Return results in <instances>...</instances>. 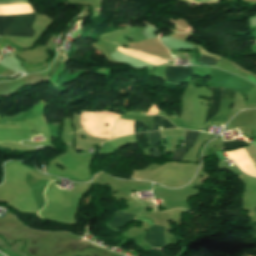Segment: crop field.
Here are the masks:
<instances>
[{
  "mask_svg": "<svg viewBox=\"0 0 256 256\" xmlns=\"http://www.w3.org/2000/svg\"><path fill=\"white\" fill-rule=\"evenodd\" d=\"M199 132H189L186 131L185 133V138H184V142L190 143V145L186 148L180 147L178 150H175L173 156H172V160H177L180 161L182 159V157L184 156L185 152L187 150H189L191 148V146L193 145L197 135Z\"/></svg>",
  "mask_w": 256,
  "mask_h": 256,
  "instance_id": "crop-field-7",
  "label": "crop field"
},
{
  "mask_svg": "<svg viewBox=\"0 0 256 256\" xmlns=\"http://www.w3.org/2000/svg\"><path fill=\"white\" fill-rule=\"evenodd\" d=\"M162 126L164 129L166 128H175L168 120L165 119V121L162 123Z\"/></svg>",
  "mask_w": 256,
  "mask_h": 256,
  "instance_id": "crop-field-15",
  "label": "crop field"
},
{
  "mask_svg": "<svg viewBox=\"0 0 256 256\" xmlns=\"http://www.w3.org/2000/svg\"><path fill=\"white\" fill-rule=\"evenodd\" d=\"M134 130H135V133L151 131V129L146 127L145 124L138 121L135 122Z\"/></svg>",
  "mask_w": 256,
  "mask_h": 256,
  "instance_id": "crop-field-12",
  "label": "crop field"
},
{
  "mask_svg": "<svg viewBox=\"0 0 256 256\" xmlns=\"http://www.w3.org/2000/svg\"><path fill=\"white\" fill-rule=\"evenodd\" d=\"M247 233L253 235L254 237H256V222L251 223L248 227ZM252 236V237H253Z\"/></svg>",
  "mask_w": 256,
  "mask_h": 256,
  "instance_id": "crop-field-14",
  "label": "crop field"
},
{
  "mask_svg": "<svg viewBox=\"0 0 256 256\" xmlns=\"http://www.w3.org/2000/svg\"><path fill=\"white\" fill-rule=\"evenodd\" d=\"M252 211L256 212V207Z\"/></svg>",
  "mask_w": 256,
  "mask_h": 256,
  "instance_id": "crop-field-17",
  "label": "crop field"
},
{
  "mask_svg": "<svg viewBox=\"0 0 256 256\" xmlns=\"http://www.w3.org/2000/svg\"><path fill=\"white\" fill-rule=\"evenodd\" d=\"M236 91L224 88L221 107L216 115L210 118L209 121L226 122L229 116L230 107L233 104Z\"/></svg>",
  "mask_w": 256,
  "mask_h": 256,
  "instance_id": "crop-field-2",
  "label": "crop field"
},
{
  "mask_svg": "<svg viewBox=\"0 0 256 256\" xmlns=\"http://www.w3.org/2000/svg\"><path fill=\"white\" fill-rule=\"evenodd\" d=\"M198 190V189H197ZM199 192V191H198ZM198 195V194H197ZM197 195H194V196H197ZM191 197H193V196H191ZM190 198V197H189ZM164 207V206H163ZM166 208V207H165ZM181 209H184V208H181ZM168 209L166 208V211H167ZM184 210H188V211H190V208L189 209H184Z\"/></svg>",
  "mask_w": 256,
  "mask_h": 256,
  "instance_id": "crop-field-16",
  "label": "crop field"
},
{
  "mask_svg": "<svg viewBox=\"0 0 256 256\" xmlns=\"http://www.w3.org/2000/svg\"><path fill=\"white\" fill-rule=\"evenodd\" d=\"M163 232L164 227L153 226L152 230L146 232L147 242L156 247L165 246Z\"/></svg>",
  "mask_w": 256,
  "mask_h": 256,
  "instance_id": "crop-field-4",
  "label": "crop field"
},
{
  "mask_svg": "<svg viewBox=\"0 0 256 256\" xmlns=\"http://www.w3.org/2000/svg\"><path fill=\"white\" fill-rule=\"evenodd\" d=\"M247 143L242 140V141H234V142H223L222 148L224 150H230V149H234V148H238L241 146L246 145Z\"/></svg>",
  "mask_w": 256,
  "mask_h": 256,
  "instance_id": "crop-field-9",
  "label": "crop field"
},
{
  "mask_svg": "<svg viewBox=\"0 0 256 256\" xmlns=\"http://www.w3.org/2000/svg\"><path fill=\"white\" fill-rule=\"evenodd\" d=\"M190 3H194L192 0H188Z\"/></svg>",
  "mask_w": 256,
  "mask_h": 256,
  "instance_id": "crop-field-18",
  "label": "crop field"
},
{
  "mask_svg": "<svg viewBox=\"0 0 256 256\" xmlns=\"http://www.w3.org/2000/svg\"><path fill=\"white\" fill-rule=\"evenodd\" d=\"M35 14L0 16V36L33 37Z\"/></svg>",
  "mask_w": 256,
  "mask_h": 256,
  "instance_id": "crop-field-1",
  "label": "crop field"
},
{
  "mask_svg": "<svg viewBox=\"0 0 256 256\" xmlns=\"http://www.w3.org/2000/svg\"><path fill=\"white\" fill-rule=\"evenodd\" d=\"M135 136H136L139 147L140 148H147L148 134L147 133H140V134H136Z\"/></svg>",
  "mask_w": 256,
  "mask_h": 256,
  "instance_id": "crop-field-10",
  "label": "crop field"
},
{
  "mask_svg": "<svg viewBox=\"0 0 256 256\" xmlns=\"http://www.w3.org/2000/svg\"><path fill=\"white\" fill-rule=\"evenodd\" d=\"M190 75H193L191 68H185L182 66H166L165 69L166 82L180 84Z\"/></svg>",
  "mask_w": 256,
  "mask_h": 256,
  "instance_id": "crop-field-3",
  "label": "crop field"
},
{
  "mask_svg": "<svg viewBox=\"0 0 256 256\" xmlns=\"http://www.w3.org/2000/svg\"><path fill=\"white\" fill-rule=\"evenodd\" d=\"M212 92L211 95V99H212V103H211V107L208 108L207 110V115H206V119H205V123L208 121V119L213 116L214 114H216L218 107L220 105V100H221V94H222V89L223 88H209Z\"/></svg>",
  "mask_w": 256,
  "mask_h": 256,
  "instance_id": "crop-field-6",
  "label": "crop field"
},
{
  "mask_svg": "<svg viewBox=\"0 0 256 256\" xmlns=\"http://www.w3.org/2000/svg\"><path fill=\"white\" fill-rule=\"evenodd\" d=\"M133 217L134 215H131V214H123V213L117 212L115 213L113 220L105 224L118 230V228L126 227V225L129 222L135 221Z\"/></svg>",
  "mask_w": 256,
  "mask_h": 256,
  "instance_id": "crop-field-5",
  "label": "crop field"
},
{
  "mask_svg": "<svg viewBox=\"0 0 256 256\" xmlns=\"http://www.w3.org/2000/svg\"><path fill=\"white\" fill-rule=\"evenodd\" d=\"M198 63H200V64L216 65L218 63V60L209 58V57L204 56V55H199Z\"/></svg>",
  "mask_w": 256,
  "mask_h": 256,
  "instance_id": "crop-field-11",
  "label": "crop field"
},
{
  "mask_svg": "<svg viewBox=\"0 0 256 256\" xmlns=\"http://www.w3.org/2000/svg\"><path fill=\"white\" fill-rule=\"evenodd\" d=\"M150 144H149V154L152 157L160 158V151L158 149V144L160 141V133L154 132L149 133Z\"/></svg>",
  "mask_w": 256,
  "mask_h": 256,
  "instance_id": "crop-field-8",
  "label": "crop field"
},
{
  "mask_svg": "<svg viewBox=\"0 0 256 256\" xmlns=\"http://www.w3.org/2000/svg\"><path fill=\"white\" fill-rule=\"evenodd\" d=\"M163 120V117L157 116L155 119L153 126H152V131H157L158 127L160 126L161 122Z\"/></svg>",
  "mask_w": 256,
  "mask_h": 256,
  "instance_id": "crop-field-13",
  "label": "crop field"
}]
</instances>
